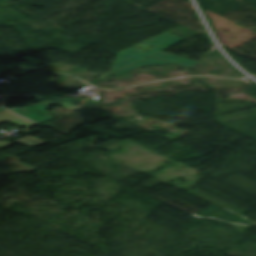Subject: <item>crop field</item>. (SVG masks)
Segmentation results:
<instances>
[{"label": "crop field", "mask_w": 256, "mask_h": 256, "mask_svg": "<svg viewBox=\"0 0 256 256\" xmlns=\"http://www.w3.org/2000/svg\"><path fill=\"white\" fill-rule=\"evenodd\" d=\"M34 169L20 163L17 158L11 156L0 161V174H11L18 172H29Z\"/></svg>", "instance_id": "obj_4"}, {"label": "crop field", "mask_w": 256, "mask_h": 256, "mask_svg": "<svg viewBox=\"0 0 256 256\" xmlns=\"http://www.w3.org/2000/svg\"><path fill=\"white\" fill-rule=\"evenodd\" d=\"M12 142L33 147V146H36V145H38L40 143H43L45 141H42L40 139H37V138H34L32 136L26 135L24 137H21L17 140L12 141ZM12 142H0V149L12 144ZM3 143H5V144H3Z\"/></svg>", "instance_id": "obj_6"}, {"label": "crop field", "mask_w": 256, "mask_h": 256, "mask_svg": "<svg viewBox=\"0 0 256 256\" xmlns=\"http://www.w3.org/2000/svg\"><path fill=\"white\" fill-rule=\"evenodd\" d=\"M55 78L42 74H32L27 77L19 78L13 81V84L0 87L2 93H20L30 92L36 98H45L55 96L66 91H58L49 85Z\"/></svg>", "instance_id": "obj_1"}, {"label": "crop field", "mask_w": 256, "mask_h": 256, "mask_svg": "<svg viewBox=\"0 0 256 256\" xmlns=\"http://www.w3.org/2000/svg\"><path fill=\"white\" fill-rule=\"evenodd\" d=\"M154 57H158V58H161V59H164V60L179 63L181 65H184V66H187V67H190V68H192L194 65L197 64L196 62L185 60V59H182V58H179V57H176V56L164 53V52H162V53H160V54H158Z\"/></svg>", "instance_id": "obj_8"}, {"label": "crop field", "mask_w": 256, "mask_h": 256, "mask_svg": "<svg viewBox=\"0 0 256 256\" xmlns=\"http://www.w3.org/2000/svg\"><path fill=\"white\" fill-rule=\"evenodd\" d=\"M15 65L14 62L7 64V65H0V75L8 71L9 69L13 68Z\"/></svg>", "instance_id": "obj_9"}, {"label": "crop field", "mask_w": 256, "mask_h": 256, "mask_svg": "<svg viewBox=\"0 0 256 256\" xmlns=\"http://www.w3.org/2000/svg\"><path fill=\"white\" fill-rule=\"evenodd\" d=\"M49 108L41 103L34 104L19 109H11L12 111L25 116L29 119H32L40 124L54 120V118L45 110Z\"/></svg>", "instance_id": "obj_3"}, {"label": "crop field", "mask_w": 256, "mask_h": 256, "mask_svg": "<svg viewBox=\"0 0 256 256\" xmlns=\"http://www.w3.org/2000/svg\"><path fill=\"white\" fill-rule=\"evenodd\" d=\"M5 121H9L13 124L20 126V127H22V126L30 127V126L34 125V123L0 107V123L5 122Z\"/></svg>", "instance_id": "obj_5"}, {"label": "crop field", "mask_w": 256, "mask_h": 256, "mask_svg": "<svg viewBox=\"0 0 256 256\" xmlns=\"http://www.w3.org/2000/svg\"><path fill=\"white\" fill-rule=\"evenodd\" d=\"M181 40H183V39L178 38L168 32H165L161 35L152 37L144 42L155 47V48H153L145 53H142V52L130 47V48H128L122 52H119L117 54V60L114 63L113 67H114V69L120 70L136 61H139V60L151 55V54L161 51V50H163Z\"/></svg>", "instance_id": "obj_2"}, {"label": "crop field", "mask_w": 256, "mask_h": 256, "mask_svg": "<svg viewBox=\"0 0 256 256\" xmlns=\"http://www.w3.org/2000/svg\"><path fill=\"white\" fill-rule=\"evenodd\" d=\"M165 64H170V63H167V62H164V61H161V60H158V59H155V58H152V57H149L139 63H136L128 68H125L115 74H119V75H122L138 66H148V65H165Z\"/></svg>", "instance_id": "obj_7"}]
</instances>
